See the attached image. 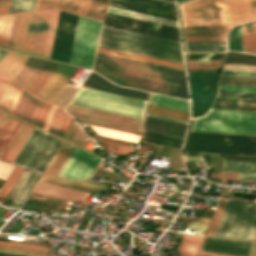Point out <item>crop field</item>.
<instances>
[{
    "instance_id": "crop-field-1",
    "label": "crop field",
    "mask_w": 256,
    "mask_h": 256,
    "mask_svg": "<svg viewBox=\"0 0 256 256\" xmlns=\"http://www.w3.org/2000/svg\"><path fill=\"white\" fill-rule=\"evenodd\" d=\"M179 7L182 26L238 24L256 19V0H191Z\"/></svg>"
},
{
    "instance_id": "crop-field-2",
    "label": "crop field",
    "mask_w": 256,
    "mask_h": 256,
    "mask_svg": "<svg viewBox=\"0 0 256 256\" xmlns=\"http://www.w3.org/2000/svg\"><path fill=\"white\" fill-rule=\"evenodd\" d=\"M100 46L184 64L181 43L103 26Z\"/></svg>"
},
{
    "instance_id": "crop-field-3",
    "label": "crop field",
    "mask_w": 256,
    "mask_h": 256,
    "mask_svg": "<svg viewBox=\"0 0 256 256\" xmlns=\"http://www.w3.org/2000/svg\"><path fill=\"white\" fill-rule=\"evenodd\" d=\"M96 68L170 83L167 95L189 99L185 72L97 52Z\"/></svg>"
},
{
    "instance_id": "crop-field-4",
    "label": "crop field",
    "mask_w": 256,
    "mask_h": 256,
    "mask_svg": "<svg viewBox=\"0 0 256 256\" xmlns=\"http://www.w3.org/2000/svg\"><path fill=\"white\" fill-rule=\"evenodd\" d=\"M191 131L256 135V112L209 109Z\"/></svg>"
},
{
    "instance_id": "crop-field-5",
    "label": "crop field",
    "mask_w": 256,
    "mask_h": 256,
    "mask_svg": "<svg viewBox=\"0 0 256 256\" xmlns=\"http://www.w3.org/2000/svg\"><path fill=\"white\" fill-rule=\"evenodd\" d=\"M70 103L143 119L147 101L80 87Z\"/></svg>"
},
{
    "instance_id": "crop-field-6",
    "label": "crop field",
    "mask_w": 256,
    "mask_h": 256,
    "mask_svg": "<svg viewBox=\"0 0 256 256\" xmlns=\"http://www.w3.org/2000/svg\"><path fill=\"white\" fill-rule=\"evenodd\" d=\"M51 12L21 14L13 50L42 57Z\"/></svg>"
},
{
    "instance_id": "crop-field-7",
    "label": "crop field",
    "mask_w": 256,
    "mask_h": 256,
    "mask_svg": "<svg viewBox=\"0 0 256 256\" xmlns=\"http://www.w3.org/2000/svg\"><path fill=\"white\" fill-rule=\"evenodd\" d=\"M100 25L79 16L69 63L91 68Z\"/></svg>"
},
{
    "instance_id": "crop-field-8",
    "label": "crop field",
    "mask_w": 256,
    "mask_h": 256,
    "mask_svg": "<svg viewBox=\"0 0 256 256\" xmlns=\"http://www.w3.org/2000/svg\"><path fill=\"white\" fill-rule=\"evenodd\" d=\"M65 111L75 118L86 119L138 132H140L143 122V120L141 119H136L132 117L122 116L118 114L108 113L71 104H68Z\"/></svg>"
},
{
    "instance_id": "crop-field-9",
    "label": "crop field",
    "mask_w": 256,
    "mask_h": 256,
    "mask_svg": "<svg viewBox=\"0 0 256 256\" xmlns=\"http://www.w3.org/2000/svg\"><path fill=\"white\" fill-rule=\"evenodd\" d=\"M106 4L107 0H37L34 10L58 8L102 20Z\"/></svg>"
},
{
    "instance_id": "crop-field-10",
    "label": "crop field",
    "mask_w": 256,
    "mask_h": 256,
    "mask_svg": "<svg viewBox=\"0 0 256 256\" xmlns=\"http://www.w3.org/2000/svg\"><path fill=\"white\" fill-rule=\"evenodd\" d=\"M108 6L178 21L176 7L169 3L155 0H110Z\"/></svg>"
},
{
    "instance_id": "crop-field-11",
    "label": "crop field",
    "mask_w": 256,
    "mask_h": 256,
    "mask_svg": "<svg viewBox=\"0 0 256 256\" xmlns=\"http://www.w3.org/2000/svg\"><path fill=\"white\" fill-rule=\"evenodd\" d=\"M100 160L76 147L58 176L74 180L89 178Z\"/></svg>"
},
{
    "instance_id": "crop-field-12",
    "label": "crop field",
    "mask_w": 256,
    "mask_h": 256,
    "mask_svg": "<svg viewBox=\"0 0 256 256\" xmlns=\"http://www.w3.org/2000/svg\"><path fill=\"white\" fill-rule=\"evenodd\" d=\"M93 72H91V74L82 84L83 87L147 100L148 93L117 86Z\"/></svg>"
},
{
    "instance_id": "crop-field-13",
    "label": "crop field",
    "mask_w": 256,
    "mask_h": 256,
    "mask_svg": "<svg viewBox=\"0 0 256 256\" xmlns=\"http://www.w3.org/2000/svg\"><path fill=\"white\" fill-rule=\"evenodd\" d=\"M24 122L4 113H0V159L14 140Z\"/></svg>"
},
{
    "instance_id": "crop-field-14",
    "label": "crop field",
    "mask_w": 256,
    "mask_h": 256,
    "mask_svg": "<svg viewBox=\"0 0 256 256\" xmlns=\"http://www.w3.org/2000/svg\"><path fill=\"white\" fill-rule=\"evenodd\" d=\"M28 58V55L8 51L0 63V80L11 83Z\"/></svg>"
},
{
    "instance_id": "crop-field-15",
    "label": "crop field",
    "mask_w": 256,
    "mask_h": 256,
    "mask_svg": "<svg viewBox=\"0 0 256 256\" xmlns=\"http://www.w3.org/2000/svg\"><path fill=\"white\" fill-rule=\"evenodd\" d=\"M185 124L146 116L143 129L184 138Z\"/></svg>"
},
{
    "instance_id": "crop-field-16",
    "label": "crop field",
    "mask_w": 256,
    "mask_h": 256,
    "mask_svg": "<svg viewBox=\"0 0 256 256\" xmlns=\"http://www.w3.org/2000/svg\"><path fill=\"white\" fill-rule=\"evenodd\" d=\"M20 14L0 16V47L13 48Z\"/></svg>"
},
{
    "instance_id": "crop-field-17",
    "label": "crop field",
    "mask_w": 256,
    "mask_h": 256,
    "mask_svg": "<svg viewBox=\"0 0 256 256\" xmlns=\"http://www.w3.org/2000/svg\"><path fill=\"white\" fill-rule=\"evenodd\" d=\"M45 62V59L30 56L15 79L12 81V84L26 90Z\"/></svg>"
},
{
    "instance_id": "crop-field-18",
    "label": "crop field",
    "mask_w": 256,
    "mask_h": 256,
    "mask_svg": "<svg viewBox=\"0 0 256 256\" xmlns=\"http://www.w3.org/2000/svg\"><path fill=\"white\" fill-rule=\"evenodd\" d=\"M45 135L46 132L35 128L13 163L25 167Z\"/></svg>"
},
{
    "instance_id": "crop-field-19",
    "label": "crop field",
    "mask_w": 256,
    "mask_h": 256,
    "mask_svg": "<svg viewBox=\"0 0 256 256\" xmlns=\"http://www.w3.org/2000/svg\"><path fill=\"white\" fill-rule=\"evenodd\" d=\"M22 90L5 82H0V108L13 113Z\"/></svg>"
},
{
    "instance_id": "crop-field-20",
    "label": "crop field",
    "mask_w": 256,
    "mask_h": 256,
    "mask_svg": "<svg viewBox=\"0 0 256 256\" xmlns=\"http://www.w3.org/2000/svg\"><path fill=\"white\" fill-rule=\"evenodd\" d=\"M97 51L185 71L184 65L98 46Z\"/></svg>"
},
{
    "instance_id": "crop-field-21",
    "label": "crop field",
    "mask_w": 256,
    "mask_h": 256,
    "mask_svg": "<svg viewBox=\"0 0 256 256\" xmlns=\"http://www.w3.org/2000/svg\"><path fill=\"white\" fill-rule=\"evenodd\" d=\"M39 101L40 100L36 99L35 97L22 92L13 114L28 122H31Z\"/></svg>"
},
{
    "instance_id": "crop-field-22",
    "label": "crop field",
    "mask_w": 256,
    "mask_h": 256,
    "mask_svg": "<svg viewBox=\"0 0 256 256\" xmlns=\"http://www.w3.org/2000/svg\"><path fill=\"white\" fill-rule=\"evenodd\" d=\"M34 130V127L28 125L25 123L15 140L12 142L4 156L2 157V160H5L7 162L12 163L32 131Z\"/></svg>"
},
{
    "instance_id": "crop-field-23",
    "label": "crop field",
    "mask_w": 256,
    "mask_h": 256,
    "mask_svg": "<svg viewBox=\"0 0 256 256\" xmlns=\"http://www.w3.org/2000/svg\"><path fill=\"white\" fill-rule=\"evenodd\" d=\"M148 104L190 113L189 102L153 93L150 95Z\"/></svg>"
},
{
    "instance_id": "crop-field-24",
    "label": "crop field",
    "mask_w": 256,
    "mask_h": 256,
    "mask_svg": "<svg viewBox=\"0 0 256 256\" xmlns=\"http://www.w3.org/2000/svg\"><path fill=\"white\" fill-rule=\"evenodd\" d=\"M74 149L75 146L64 142L44 173L57 176Z\"/></svg>"
},
{
    "instance_id": "crop-field-25",
    "label": "crop field",
    "mask_w": 256,
    "mask_h": 256,
    "mask_svg": "<svg viewBox=\"0 0 256 256\" xmlns=\"http://www.w3.org/2000/svg\"><path fill=\"white\" fill-rule=\"evenodd\" d=\"M234 25L183 27L185 37L226 35Z\"/></svg>"
},
{
    "instance_id": "crop-field-26",
    "label": "crop field",
    "mask_w": 256,
    "mask_h": 256,
    "mask_svg": "<svg viewBox=\"0 0 256 256\" xmlns=\"http://www.w3.org/2000/svg\"><path fill=\"white\" fill-rule=\"evenodd\" d=\"M57 65V62L47 60V62L44 64L42 69L39 71L35 79L28 87L27 91L37 96Z\"/></svg>"
},
{
    "instance_id": "crop-field-27",
    "label": "crop field",
    "mask_w": 256,
    "mask_h": 256,
    "mask_svg": "<svg viewBox=\"0 0 256 256\" xmlns=\"http://www.w3.org/2000/svg\"><path fill=\"white\" fill-rule=\"evenodd\" d=\"M187 52H221L227 50V41L185 42Z\"/></svg>"
},
{
    "instance_id": "crop-field-28",
    "label": "crop field",
    "mask_w": 256,
    "mask_h": 256,
    "mask_svg": "<svg viewBox=\"0 0 256 256\" xmlns=\"http://www.w3.org/2000/svg\"><path fill=\"white\" fill-rule=\"evenodd\" d=\"M106 12L179 28L178 22L167 20V19L152 17L148 15L138 14V13L119 10V9L110 8V7L107 8Z\"/></svg>"
},
{
    "instance_id": "crop-field-29",
    "label": "crop field",
    "mask_w": 256,
    "mask_h": 256,
    "mask_svg": "<svg viewBox=\"0 0 256 256\" xmlns=\"http://www.w3.org/2000/svg\"><path fill=\"white\" fill-rule=\"evenodd\" d=\"M40 174L41 173L31 171L28 178L26 179L21 189L10 204V207L20 209L21 205L23 204L25 198L27 197L28 193L32 189Z\"/></svg>"
},
{
    "instance_id": "crop-field-30",
    "label": "crop field",
    "mask_w": 256,
    "mask_h": 256,
    "mask_svg": "<svg viewBox=\"0 0 256 256\" xmlns=\"http://www.w3.org/2000/svg\"><path fill=\"white\" fill-rule=\"evenodd\" d=\"M34 189L47 192V193L64 196V197L81 200V201L85 196V193H81V192H77V191H73V190H69V189H65V188H61V187H57V186H53V185H49L41 182H38V184L35 186Z\"/></svg>"
},
{
    "instance_id": "crop-field-31",
    "label": "crop field",
    "mask_w": 256,
    "mask_h": 256,
    "mask_svg": "<svg viewBox=\"0 0 256 256\" xmlns=\"http://www.w3.org/2000/svg\"><path fill=\"white\" fill-rule=\"evenodd\" d=\"M202 239L184 235L183 241L178 249L179 256H198Z\"/></svg>"
},
{
    "instance_id": "crop-field-32",
    "label": "crop field",
    "mask_w": 256,
    "mask_h": 256,
    "mask_svg": "<svg viewBox=\"0 0 256 256\" xmlns=\"http://www.w3.org/2000/svg\"><path fill=\"white\" fill-rule=\"evenodd\" d=\"M69 119L70 117L64 111L57 109L48 131L62 137Z\"/></svg>"
},
{
    "instance_id": "crop-field-33",
    "label": "crop field",
    "mask_w": 256,
    "mask_h": 256,
    "mask_svg": "<svg viewBox=\"0 0 256 256\" xmlns=\"http://www.w3.org/2000/svg\"><path fill=\"white\" fill-rule=\"evenodd\" d=\"M253 32H246L245 25H241L243 51L256 53V21H252Z\"/></svg>"
},
{
    "instance_id": "crop-field-34",
    "label": "crop field",
    "mask_w": 256,
    "mask_h": 256,
    "mask_svg": "<svg viewBox=\"0 0 256 256\" xmlns=\"http://www.w3.org/2000/svg\"><path fill=\"white\" fill-rule=\"evenodd\" d=\"M0 248L23 251V252H30V253H37V254H43V255H46L47 249H48L45 247L16 244V243H9V242H1V241H0Z\"/></svg>"
},
{
    "instance_id": "crop-field-35",
    "label": "crop field",
    "mask_w": 256,
    "mask_h": 256,
    "mask_svg": "<svg viewBox=\"0 0 256 256\" xmlns=\"http://www.w3.org/2000/svg\"><path fill=\"white\" fill-rule=\"evenodd\" d=\"M220 84L256 87V78L222 75Z\"/></svg>"
},
{
    "instance_id": "crop-field-36",
    "label": "crop field",
    "mask_w": 256,
    "mask_h": 256,
    "mask_svg": "<svg viewBox=\"0 0 256 256\" xmlns=\"http://www.w3.org/2000/svg\"><path fill=\"white\" fill-rule=\"evenodd\" d=\"M228 199L220 198L206 235H215Z\"/></svg>"
},
{
    "instance_id": "crop-field-37",
    "label": "crop field",
    "mask_w": 256,
    "mask_h": 256,
    "mask_svg": "<svg viewBox=\"0 0 256 256\" xmlns=\"http://www.w3.org/2000/svg\"><path fill=\"white\" fill-rule=\"evenodd\" d=\"M147 112L158 114V115H163V116H168V117H172V118L182 119V120H186V121L189 120L188 113L159 108V107L150 106V105H148Z\"/></svg>"
},
{
    "instance_id": "crop-field-38",
    "label": "crop field",
    "mask_w": 256,
    "mask_h": 256,
    "mask_svg": "<svg viewBox=\"0 0 256 256\" xmlns=\"http://www.w3.org/2000/svg\"><path fill=\"white\" fill-rule=\"evenodd\" d=\"M224 63L256 65V56H250V55H244V54H238V53H229L227 54Z\"/></svg>"
},
{
    "instance_id": "crop-field-39",
    "label": "crop field",
    "mask_w": 256,
    "mask_h": 256,
    "mask_svg": "<svg viewBox=\"0 0 256 256\" xmlns=\"http://www.w3.org/2000/svg\"><path fill=\"white\" fill-rule=\"evenodd\" d=\"M51 107V105L41 101L31 123L42 128Z\"/></svg>"
},
{
    "instance_id": "crop-field-40",
    "label": "crop field",
    "mask_w": 256,
    "mask_h": 256,
    "mask_svg": "<svg viewBox=\"0 0 256 256\" xmlns=\"http://www.w3.org/2000/svg\"><path fill=\"white\" fill-rule=\"evenodd\" d=\"M58 13H59L58 10H53V12H52L46 46H45L44 55H43V57H46V58H49V56H50V51H51V46H52V42H53Z\"/></svg>"
},
{
    "instance_id": "crop-field-41",
    "label": "crop field",
    "mask_w": 256,
    "mask_h": 256,
    "mask_svg": "<svg viewBox=\"0 0 256 256\" xmlns=\"http://www.w3.org/2000/svg\"><path fill=\"white\" fill-rule=\"evenodd\" d=\"M36 0H12L9 12H21L33 10Z\"/></svg>"
},
{
    "instance_id": "crop-field-42",
    "label": "crop field",
    "mask_w": 256,
    "mask_h": 256,
    "mask_svg": "<svg viewBox=\"0 0 256 256\" xmlns=\"http://www.w3.org/2000/svg\"><path fill=\"white\" fill-rule=\"evenodd\" d=\"M229 50L242 51L240 25L228 33Z\"/></svg>"
},
{
    "instance_id": "crop-field-43",
    "label": "crop field",
    "mask_w": 256,
    "mask_h": 256,
    "mask_svg": "<svg viewBox=\"0 0 256 256\" xmlns=\"http://www.w3.org/2000/svg\"><path fill=\"white\" fill-rule=\"evenodd\" d=\"M190 69L220 68L221 60L188 61Z\"/></svg>"
},
{
    "instance_id": "crop-field-44",
    "label": "crop field",
    "mask_w": 256,
    "mask_h": 256,
    "mask_svg": "<svg viewBox=\"0 0 256 256\" xmlns=\"http://www.w3.org/2000/svg\"><path fill=\"white\" fill-rule=\"evenodd\" d=\"M216 96L233 97V98H245V99H256V93L224 91V90H218Z\"/></svg>"
},
{
    "instance_id": "crop-field-45",
    "label": "crop field",
    "mask_w": 256,
    "mask_h": 256,
    "mask_svg": "<svg viewBox=\"0 0 256 256\" xmlns=\"http://www.w3.org/2000/svg\"><path fill=\"white\" fill-rule=\"evenodd\" d=\"M21 171H22V168H18V167H15V169L13 170L12 174L10 175V177L8 178V180L6 181V183L4 184V186L0 191V203L5 197V195L7 194V192L9 191V189L11 188L12 184L14 183V181L16 180V178L18 177Z\"/></svg>"
},
{
    "instance_id": "crop-field-46",
    "label": "crop field",
    "mask_w": 256,
    "mask_h": 256,
    "mask_svg": "<svg viewBox=\"0 0 256 256\" xmlns=\"http://www.w3.org/2000/svg\"><path fill=\"white\" fill-rule=\"evenodd\" d=\"M175 220L187 221L186 225L207 227L210 219L177 217Z\"/></svg>"
},
{
    "instance_id": "crop-field-47",
    "label": "crop field",
    "mask_w": 256,
    "mask_h": 256,
    "mask_svg": "<svg viewBox=\"0 0 256 256\" xmlns=\"http://www.w3.org/2000/svg\"><path fill=\"white\" fill-rule=\"evenodd\" d=\"M222 54H187L188 60L221 59Z\"/></svg>"
},
{
    "instance_id": "crop-field-48",
    "label": "crop field",
    "mask_w": 256,
    "mask_h": 256,
    "mask_svg": "<svg viewBox=\"0 0 256 256\" xmlns=\"http://www.w3.org/2000/svg\"><path fill=\"white\" fill-rule=\"evenodd\" d=\"M218 89L256 92V88L220 85Z\"/></svg>"
},
{
    "instance_id": "crop-field-49",
    "label": "crop field",
    "mask_w": 256,
    "mask_h": 256,
    "mask_svg": "<svg viewBox=\"0 0 256 256\" xmlns=\"http://www.w3.org/2000/svg\"><path fill=\"white\" fill-rule=\"evenodd\" d=\"M206 40H227V38H226V36H223V37L185 38V41H206Z\"/></svg>"
},
{
    "instance_id": "crop-field-50",
    "label": "crop field",
    "mask_w": 256,
    "mask_h": 256,
    "mask_svg": "<svg viewBox=\"0 0 256 256\" xmlns=\"http://www.w3.org/2000/svg\"><path fill=\"white\" fill-rule=\"evenodd\" d=\"M86 123H87V124H90V125H95V126H99V127L114 129V130H118V131H123V132L132 133V134H137V135L140 134V133H138V132L129 131V130H125V129H120V128H116V127H111V126L102 125V124H97V123H93V122H88V121H86Z\"/></svg>"
},
{
    "instance_id": "crop-field-51",
    "label": "crop field",
    "mask_w": 256,
    "mask_h": 256,
    "mask_svg": "<svg viewBox=\"0 0 256 256\" xmlns=\"http://www.w3.org/2000/svg\"><path fill=\"white\" fill-rule=\"evenodd\" d=\"M11 0H0V14L8 12Z\"/></svg>"
},
{
    "instance_id": "crop-field-52",
    "label": "crop field",
    "mask_w": 256,
    "mask_h": 256,
    "mask_svg": "<svg viewBox=\"0 0 256 256\" xmlns=\"http://www.w3.org/2000/svg\"><path fill=\"white\" fill-rule=\"evenodd\" d=\"M32 192L42 194V195H46V196H50V197H54V198H58V199H62V200L76 202V201H73L72 199H68V198H64V197H60V196H56V195H52V194H47V193H43V192H39V191H35V190H33ZM76 203H80V202H76ZM81 204H85V203H81ZM85 205H87V204H85Z\"/></svg>"
},
{
    "instance_id": "crop-field-53",
    "label": "crop field",
    "mask_w": 256,
    "mask_h": 256,
    "mask_svg": "<svg viewBox=\"0 0 256 256\" xmlns=\"http://www.w3.org/2000/svg\"><path fill=\"white\" fill-rule=\"evenodd\" d=\"M143 141H148V142H153V143H158V144H164V145H169V146H174V147H179L181 148L180 145H176V144H171V143H167V142H162V141H157V140H153V139H148V138H144L142 137Z\"/></svg>"
},
{
    "instance_id": "crop-field-54",
    "label": "crop field",
    "mask_w": 256,
    "mask_h": 256,
    "mask_svg": "<svg viewBox=\"0 0 256 256\" xmlns=\"http://www.w3.org/2000/svg\"><path fill=\"white\" fill-rule=\"evenodd\" d=\"M0 240H1V241L16 242V243H24V244L39 245V246H45V247H48V246H49V245H46V244L32 243V242H24V241H17V240L3 239V238H0Z\"/></svg>"
},
{
    "instance_id": "crop-field-55",
    "label": "crop field",
    "mask_w": 256,
    "mask_h": 256,
    "mask_svg": "<svg viewBox=\"0 0 256 256\" xmlns=\"http://www.w3.org/2000/svg\"><path fill=\"white\" fill-rule=\"evenodd\" d=\"M222 74L243 75V76H255V77H256V73H243V72H229V71H223Z\"/></svg>"
},
{
    "instance_id": "crop-field-56",
    "label": "crop field",
    "mask_w": 256,
    "mask_h": 256,
    "mask_svg": "<svg viewBox=\"0 0 256 256\" xmlns=\"http://www.w3.org/2000/svg\"><path fill=\"white\" fill-rule=\"evenodd\" d=\"M187 162H204L202 157L186 156Z\"/></svg>"
},
{
    "instance_id": "crop-field-57",
    "label": "crop field",
    "mask_w": 256,
    "mask_h": 256,
    "mask_svg": "<svg viewBox=\"0 0 256 256\" xmlns=\"http://www.w3.org/2000/svg\"><path fill=\"white\" fill-rule=\"evenodd\" d=\"M0 251H1V252L14 253V254L28 255V256H43V255L30 254V253H23V252L10 251V250H4V249H0Z\"/></svg>"
},
{
    "instance_id": "crop-field-58",
    "label": "crop field",
    "mask_w": 256,
    "mask_h": 256,
    "mask_svg": "<svg viewBox=\"0 0 256 256\" xmlns=\"http://www.w3.org/2000/svg\"><path fill=\"white\" fill-rule=\"evenodd\" d=\"M146 115L157 117V118H162V119H167V120H171V121L181 122V123H185V124L188 123L186 121H181V120H177V119H172V118H167V117H163V116L153 115V114H149V113H147Z\"/></svg>"
},
{
    "instance_id": "crop-field-59",
    "label": "crop field",
    "mask_w": 256,
    "mask_h": 256,
    "mask_svg": "<svg viewBox=\"0 0 256 256\" xmlns=\"http://www.w3.org/2000/svg\"><path fill=\"white\" fill-rule=\"evenodd\" d=\"M200 256H224V255H218V254H211V253H204V252H201V253H200Z\"/></svg>"
},
{
    "instance_id": "crop-field-60",
    "label": "crop field",
    "mask_w": 256,
    "mask_h": 256,
    "mask_svg": "<svg viewBox=\"0 0 256 256\" xmlns=\"http://www.w3.org/2000/svg\"><path fill=\"white\" fill-rule=\"evenodd\" d=\"M251 256H256V242H255Z\"/></svg>"
},
{
    "instance_id": "crop-field-61",
    "label": "crop field",
    "mask_w": 256,
    "mask_h": 256,
    "mask_svg": "<svg viewBox=\"0 0 256 256\" xmlns=\"http://www.w3.org/2000/svg\"><path fill=\"white\" fill-rule=\"evenodd\" d=\"M167 1H172V2H175V0H167Z\"/></svg>"
}]
</instances>
